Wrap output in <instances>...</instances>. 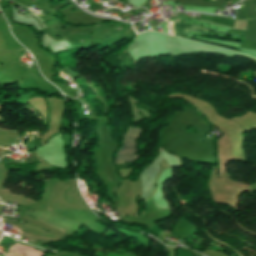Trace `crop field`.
Returning <instances> with one entry per match:
<instances>
[{
  "label": "crop field",
  "mask_w": 256,
  "mask_h": 256,
  "mask_svg": "<svg viewBox=\"0 0 256 256\" xmlns=\"http://www.w3.org/2000/svg\"><path fill=\"white\" fill-rule=\"evenodd\" d=\"M142 129L138 128H130L129 132L125 137V142L122 148L119 150L118 154H134L137 153L136 151V144L135 140L140 135Z\"/></svg>",
  "instance_id": "1"
},
{
  "label": "crop field",
  "mask_w": 256,
  "mask_h": 256,
  "mask_svg": "<svg viewBox=\"0 0 256 256\" xmlns=\"http://www.w3.org/2000/svg\"><path fill=\"white\" fill-rule=\"evenodd\" d=\"M176 33H182V34H188V30L193 31H205L204 29H201L199 27L191 26V25H184V24H174Z\"/></svg>",
  "instance_id": "2"
},
{
  "label": "crop field",
  "mask_w": 256,
  "mask_h": 256,
  "mask_svg": "<svg viewBox=\"0 0 256 256\" xmlns=\"http://www.w3.org/2000/svg\"><path fill=\"white\" fill-rule=\"evenodd\" d=\"M140 155L135 156H117L115 159V163H124V162H133L135 160H138Z\"/></svg>",
  "instance_id": "3"
}]
</instances>
